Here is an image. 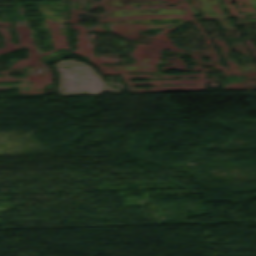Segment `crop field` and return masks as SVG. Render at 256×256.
Masks as SVG:
<instances>
[{
  "instance_id": "obj_1",
  "label": "crop field",
  "mask_w": 256,
  "mask_h": 256,
  "mask_svg": "<svg viewBox=\"0 0 256 256\" xmlns=\"http://www.w3.org/2000/svg\"><path fill=\"white\" fill-rule=\"evenodd\" d=\"M251 1H252L253 5H254L255 8H256V0H251Z\"/></svg>"
}]
</instances>
